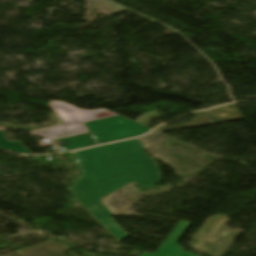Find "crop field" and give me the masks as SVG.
<instances>
[{
  "label": "crop field",
  "instance_id": "crop-field-1",
  "mask_svg": "<svg viewBox=\"0 0 256 256\" xmlns=\"http://www.w3.org/2000/svg\"><path fill=\"white\" fill-rule=\"evenodd\" d=\"M73 153L82 175L69 192L121 242L129 234L111 218L100 199L132 181L141 190L155 187L162 179L154 158L145 154L138 138Z\"/></svg>",
  "mask_w": 256,
  "mask_h": 256
},
{
  "label": "crop field",
  "instance_id": "crop-field-2",
  "mask_svg": "<svg viewBox=\"0 0 256 256\" xmlns=\"http://www.w3.org/2000/svg\"><path fill=\"white\" fill-rule=\"evenodd\" d=\"M47 104L59 115L64 124L59 127L30 132V134L49 140L87 133L88 131L84 127L85 125L83 126V122L117 115L106 108L89 111L55 100Z\"/></svg>",
  "mask_w": 256,
  "mask_h": 256
},
{
  "label": "crop field",
  "instance_id": "crop-field-3",
  "mask_svg": "<svg viewBox=\"0 0 256 256\" xmlns=\"http://www.w3.org/2000/svg\"><path fill=\"white\" fill-rule=\"evenodd\" d=\"M189 225V223L179 222L157 253L149 254L142 252L140 256H179L184 249L179 247L176 242Z\"/></svg>",
  "mask_w": 256,
  "mask_h": 256
},
{
  "label": "crop field",
  "instance_id": "crop-field-4",
  "mask_svg": "<svg viewBox=\"0 0 256 256\" xmlns=\"http://www.w3.org/2000/svg\"><path fill=\"white\" fill-rule=\"evenodd\" d=\"M44 141L48 144L61 141L65 144V146L68 148L69 151L96 145L90 133L68 137L64 139H59V140H53L50 142L47 140H44Z\"/></svg>",
  "mask_w": 256,
  "mask_h": 256
},
{
  "label": "crop field",
  "instance_id": "crop-field-5",
  "mask_svg": "<svg viewBox=\"0 0 256 256\" xmlns=\"http://www.w3.org/2000/svg\"><path fill=\"white\" fill-rule=\"evenodd\" d=\"M0 148L23 154H30L20 141L9 142L5 140L3 131H0Z\"/></svg>",
  "mask_w": 256,
  "mask_h": 256
},
{
  "label": "crop field",
  "instance_id": "crop-field-6",
  "mask_svg": "<svg viewBox=\"0 0 256 256\" xmlns=\"http://www.w3.org/2000/svg\"><path fill=\"white\" fill-rule=\"evenodd\" d=\"M180 256H196V255H193V254L183 251Z\"/></svg>",
  "mask_w": 256,
  "mask_h": 256
},
{
  "label": "crop field",
  "instance_id": "crop-field-7",
  "mask_svg": "<svg viewBox=\"0 0 256 256\" xmlns=\"http://www.w3.org/2000/svg\"><path fill=\"white\" fill-rule=\"evenodd\" d=\"M57 143H59V142H57ZM40 144H41V146H47L48 144H46L45 142H43V141H41L40 142ZM55 144V143H54ZM51 145V144H50Z\"/></svg>",
  "mask_w": 256,
  "mask_h": 256
}]
</instances>
